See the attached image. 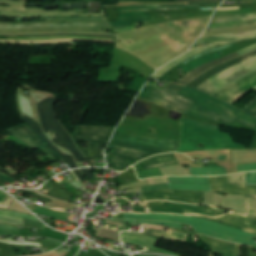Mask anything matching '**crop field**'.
<instances>
[{"instance_id":"f4fd0767","label":"crop field","mask_w":256,"mask_h":256,"mask_svg":"<svg viewBox=\"0 0 256 256\" xmlns=\"http://www.w3.org/2000/svg\"><path fill=\"white\" fill-rule=\"evenodd\" d=\"M114 128L79 126V134H75L74 141H89L91 147L84 149L78 144V148L89 160L92 167H96L95 159L102 158V148L108 144Z\"/></svg>"},{"instance_id":"5a996713","label":"crop field","mask_w":256,"mask_h":256,"mask_svg":"<svg viewBox=\"0 0 256 256\" xmlns=\"http://www.w3.org/2000/svg\"><path fill=\"white\" fill-rule=\"evenodd\" d=\"M148 205L151 212L157 213H177L186 215L201 214L209 217L222 215L221 210L203 206L175 204L164 201L148 202Z\"/></svg>"},{"instance_id":"e52e79f7","label":"crop field","mask_w":256,"mask_h":256,"mask_svg":"<svg viewBox=\"0 0 256 256\" xmlns=\"http://www.w3.org/2000/svg\"><path fill=\"white\" fill-rule=\"evenodd\" d=\"M246 67L256 71V57L248 59V60H246V61H244V62H242L240 64H237V65L227 69L226 71H224V72H222V73H220V74L210 78V80L213 83H215L220 89L215 84H213L209 79L206 80L204 83H202L199 87H197V89H199V90H201L203 92H207V93L212 95L216 90L219 89L218 91H220L223 88L233 84L234 82H236V81L242 79L243 77H245V76H247V75H249V74L254 72L253 71V72H251V73H249V74L239 78L240 76H242V75L252 71V70H250V69H248ZM244 68H246V69H244ZM242 69H244V70H242ZM240 70H242V71H240ZM238 71H240V72H238ZM236 72H238V73H236ZM234 73H236V74H234ZM232 74H234V75H232ZM230 75H232V76H230ZM228 76H230V77H228ZM226 77H228V78H226ZM224 78H226V79H224ZM237 78H239V79H237ZM222 79H224V80H222ZM235 79H237V80H235ZM233 80H235V81H233ZM220 81L222 83H224L225 85L227 83L231 82V81H233V82H231V83H229V84H227L225 86Z\"/></svg>"},{"instance_id":"9d1cf04e","label":"crop field","mask_w":256,"mask_h":256,"mask_svg":"<svg viewBox=\"0 0 256 256\" xmlns=\"http://www.w3.org/2000/svg\"><path fill=\"white\" fill-rule=\"evenodd\" d=\"M223 9H240V8L236 7V8H223ZM218 10H222V9H218Z\"/></svg>"},{"instance_id":"28ad6ade","label":"crop field","mask_w":256,"mask_h":256,"mask_svg":"<svg viewBox=\"0 0 256 256\" xmlns=\"http://www.w3.org/2000/svg\"><path fill=\"white\" fill-rule=\"evenodd\" d=\"M252 24H256V13L238 16H214L211 25L206 31L241 27Z\"/></svg>"},{"instance_id":"028f5c9d","label":"crop field","mask_w":256,"mask_h":256,"mask_svg":"<svg viewBox=\"0 0 256 256\" xmlns=\"http://www.w3.org/2000/svg\"><path fill=\"white\" fill-rule=\"evenodd\" d=\"M13 198L8 196L6 193L0 191V207L8 209Z\"/></svg>"},{"instance_id":"4a817a6b","label":"crop field","mask_w":256,"mask_h":256,"mask_svg":"<svg viewBox=\"0 0 256 256\" xmlns=\"http://www.w3.org/2000/svg\"><path fill=\"white\" fill-rule=\"evenodd\" d=\"M24 121L33 129V131L40 136L58 155H60L70 169L77 168V165L72 156L63 155L59 149L45 136L39 123L35 122L29 117L22 116Z\"/></svg>"},{"instance_id":"cbeb9de0","label":"crop field","mask_w":256,"mask_h":256,"mask_svg":"<svg viewBox=\"0 0 256 256\" xmlns=\"http://www.w3.org/2000/svg\"><path fill=\"white\" fill-rule=\"evenodd\" d=\"M9 134L17 138L18 140L26 143L32 148L38 149L41 145L43 146V150L46 154L55 156L59 158L56 154H54L45 144H43L32 132L31 130L26 126H20L13 129H10L8 131ZM60 159V158H59Z\"/></svg>"},{"instance_id":"c21b1889","label":"crop field","mask_w":256,"mask_h":256,"mask_svg":"<svg viewBox=\"0 0 256 256\" xmlns=\"http://www.w3.org/2000/svg\"><path fill=\"white\" fill-rule=\"evenodd\" d=\"M124 222H133V221L125 220ZM138 223H153V224H161V225H165V226H171V227H178V228H181V225H179V224H173V223L146 222V221H142V222H138Z\"/></svg>"},{"instance_id":"412701ff","label":"crop field","mask_w":256,"mask_h":256,"mask_svg":"<svg viewBox=\"0 0 256 256\" xmlns=\"http://www.w3.org/2000/svg\"><path fill=\"white\" fill-rule=\"evenodd\" d=\"M54 99L55 98H48L42 101L41 103L37 104L38 112H39V115L42 121V126L44 128L45 133L55 129L56 138L52 141L55 142L57 145L65 149H68L74 155L77 162L85 160L84 156L76 148L69 134L60 125L53 109Z\"/></svg>"},{"instance_id":"730fd06b","label":"crop field","mask_w":256,"mask_h":256,"mask_svg":"<svg viewBox=\"0 0 256 256\" xmlns=\"http://www.w3.org/2000/svg\"><path fill=\"white\" fill-rule=\"evenodd\" d=\"M145 229H153V230H161L164 231V227H160V226H151V225H147ZM153 230H145L144 234L146 235H151V236H163L166 237L168 239H173V240H181V241H185L187 236L186 235H182V234H178V233H173L170 232L169 233H165V232H161V231H153Z\"/></svg>"},{"instance_id":"bc2a9ffb","label":"crop field","mask_w":256,"mask_h":256,"mask_svg":"<svg viewBox=\"0 0 256 256\" xmlns=\"http://www.w3.org/2000/svg\"><path fill=\"white\" fill-rule=\"evenodd\" d=\"M179 164L178 160L175 158L174 154L171 155H161L146 161H143L134 167L136 171L157 168V167H164L170 165Z\"/></svg>"},{"instance_id":"db79e9e6","label":"crop field","mask_w":256,"mask_h":256,"mask_svg":"<svg viewBox=\"0 0 256 256\" xmlns=\"http://www.w3.org/2000/svg\"><path fill=\"white\" fill-rule=\"evenodd\" d=\"M255 248H256V244H255V246H254Z\"/></svg>"},{"instance_id":"73cf0c24","label":"crop field","mask_w":256,"mask_h":256,"mask_svg":"<svg viewBox=\"0 0 256 256\" xmlns=\"http://www.w3.org/2000/svg\"><path fill=\"white\" fill-rule=\"evenodd\" d=\"M26 192H28V193H30V194H32V195L38 197V198H41V199H43V200H45V201H47V202H49V203H50V201H51V199H48V198L39 196V195H37V194H35V193L31 192V191H26Z\"/></svg>"},{"instance_id":"8a807250","label":"crop field","mask_w":256,"mask_h":256,"mask_svg":"<svg viewBox=\"0 0 256 256\" xmlns=\"http://www.w3.org/2000/svg\"><path fill=\"white\" fill-rule=\"evenodd\" d=\"M139 96L182 114L228 125L237 120L252 128L256 126V116L180 84L170 83L164 92L145 86Z\"/></svg>"},{"instance_id":"dbb93151","label":"crop field","mask_w":256,"mask_h":256,"mask_svg":"<svg viewBox=\"0 0 256 256\" xmlns=\"http://www.w3.org/2000/svg\"><path fill=\"white\" fill-rule=\"evenodd\" d=\"M60 43H72V42H60ZM9 44H21V43H9ZM44 44H58V43H44ZM23 45H35V44H23Z\"/></svg>"},{"instance_id":"1d83c4d3","label":"crop field","mask_w":256,"mask_h":256,"mask_svg":"<svg viewBox=\"0 0 256 256\" xmlns=\"http://www.w3.org/2000/svg\"><path fill=\"white\" fill-rule=\"evenodd\" d=\"M138 21L149 22V21H153V18H152V16L134 18V19H129V20H124V21H120V22L111 23V26L113 27V29H116V28H120V27H124V26H127V25L134 24Z\"/></svg>"},{"instance_id":"c035e120","label":"crop field","mask_w":256,"mask_h":256,"mask_svg":"<svg viewBox=\"0 0 256 256\" xmlns=\"http://www.w3.org/2000/svg\"><path fill=\"white\" fill-rule=\"evenodd\" d=\"M23 223H24V226L35 227V228H43L45 226L42 223L33 222V221H25V220H23Z\"/></svg>"},{"instance_id":"425ffa30","label":"crop field","mask_w":256,"mask_h":256,"mask_svg":"<svg viewBox=\"0 0 256 256\" xmlns=\"http://www.w3.org/2000/svg\"><path fill=\"white\" fill-rule=\"evenodd\" d=\"M0 178L3 179V180H5V181H8V182H10V183L15 180V179H13V178H11V177L5 175V174H3V175L1 174V175H0Z\"/></svg>"},{"instance_id":"1d79db26","label":"crop field","mask_w":256,"mask_h":256,"mask_svg":"<svg viewBox=\"0 0 256 256\" xmlns=\"http://www.w3.org/2000/svg\"><path fill=\"white\" fill-rule=\"evenodd\" d=\"M103 251H104V250H103ZM104 252H106L107 254L113 255V256H119V255H116V254L110 253V252H108V251H104Z\"/></svg>"},{"instance_id":"d1516ede","label":"crop field","mask_w":256,"mask_h":256,"mask_svg":"<svg viewBox=\"0 0 256 256\" xmlns=\"http://www.w3.org/2000/svg\"><path fill=\"white\" fill-rule=\"evenodd\" d=\"M254 77H256V72H254L253 74L245 77L244 79L234 83L233 85L225 88L224 90L214 94L213 96L220 99L221 97H223L225 94H227L228 92H230L234 88L240 86L241 84L247 82L248 80H250ZM255 86H256V78H254V79L248 81L247 83L241 85L240 87L234 89L233 91L228 93L226 96H224L221 100L231 104Z\"/></svg>"},{"instance_id":"750c4746","label":"crop field","mask_w":256,"mask_h":256,"mask_svg":"<svg viewBox=\"0 0 256 256\" xmlns=\"http://www.w3.org/2000/svg\"><path fill=\"white\" fill-rule=\"evenodd\" d=\"M168 181L169 183L209 184L207 178H197V177H186V178L168 177Z\"/></svg>"},{"instance_id":"bd1437ed","label":"crop field","mask_w":256,"mask_h":256,"mask_svg":"<svg viewBox=\"0 0 256 256\" xmlns=\"http://www.w3.org/2000/svg\"><path fill=\"white\" fill-rule=\"evenodd\" d=\"M169 189H183V190H196V191H210L209 185H182V184H169Z\"/></svg>"},{"instance_id":"25e5ab78","label":"crop field","mask_w":256,"mask_h":256,"mask_svg":"<svg viewBox=\"0 0 256 256\" xmlns=\"http://www.w3.org/2000/svg\"><path fill=\"white\" fill-rule=\"evenodd\" d=\"M189 4H214V5H220V3L215 2H188Z\"/></svg>"},{"instance_id":"00972430","label":"crop field","mask_w":256,"mask_h":256,"mask_svg":"<svg viewBox=\"0 0 256 256\" xmlns=\"http://www.w3.org/2000/svg\"><path fill=\"white\" fill-rule=\"evenodd\" d=\"M22 219L38 221L35 217L17 212L0 211V222L23 226Z\"/></svg>"},{"instance_id":"d32e631a","label":"crop field","mask_w":256,"mask_h":256,"mask_svg":"<svg viewBox=\"0 0 256 256\" xmlns=\"http://www.w3.org/2000/svg\"><path fill=\"white\" fill-rule=\"evenodd\" d=\"M137 175H138L139 179H145V178H149V177H160V176H162V173H161L160 169L158 168V169L140 171V172H137Z\"/></svg>"},{"instance_id":"3316defc","label":"crop field","mask_w":256,"mask_h":256,"mask_svg":"<svg viewBox=\"0 0 256 256\" xmlns=\"http://www.w3.org/2000/svg\"><path fill=\"white\" fill-rule=\"evenodd\" d=\"M143 201L166 200L175 202H185L191 204L199 203L203 198L204 192L183 191V190H165L156 192L141 193Z\"/></svg>"},{"instance_id":"0fb4a251","label":"crop field","mask_w":256,"mask_h":256,"mask_svg":"<svg viewBox=\"0 0 256 256\" xmlns=\"http://www.w3.org/2000/svg\"><path fill=\"white\" fill-rule=\"evenodd\" d=\"M178 2H183V1H203V0H177ZM207 1H219V0H207Z\"/></svg>"},{"instance_id":"d9b57169","label":"crop field","mask_w":256,"mask_h":256,"mask_svg":"<svg viewBox=\"0 0 256 256\" xmlns=\"http://www.w3.org/2000/svg\"><path fill=\"white\" fill-rule=\"evenodd\" d=\"M255 49H256V44L253 45V46H250V47H248V48H246L244 50H241L239 52L242 55H244V54H246L248 52H251V51H253ZM239 52H235V53H233V54H231V55H229L227 57H224V58L218 59L216 61L209 62V63H207L205 65H202V66L198 67L197 69H195V70L191 71L190 73H188L184 78L178 80L177 83H181V84L186 85L187 83H189L191 80H193L195 77H197L199 74L205 72L206 70H208V69H210V68H212V67H214V66H216V65H218L220 63H223V62H225L227 60H230L232 58H235V57L241 55Z\"/></svg>"},{"instance_id":"ac0d7876","label":"crop field","mask_w":256,"mask_h":256,"mask_svg":"<svg viewBox=\"0 0 256 256\" xmlns=\"http://www.w3.org/2000/svg\"><path fill=\"white\" fill-rule=\"evenodd\" d=\"M179 143L175 141L143 139L115 132L108 148L114 150L109 164L113 165L112 169L124 171L134 160L140 161L152 155L173 152Z\"/></svg>"},{"instance_id":"eef30255","label":"crop field","mask_w":256,"mask_h":256,"mask_svg":"<svg viewBox=\"0 0 256 256\" xmlns=\"http://www.w3.org/2000/svg\"><path fill=\"white\" fill-rule=\"evenodd\" d=\"M192 175L196 176H215L226 174L221 167L216 168H189Z\"/></svg>"},{"instance_id":"d8731c3e","label":"crop field","mask_w":256,"mask_h":256,"mask_svg":"<svg viewBox=\"0 0 256 256\" xmlns=\"http://www.w3.org/2000/svg\"><path fill=\"white\" fill-rule=\"evenodd\" d=\"M212 191L250 195L256 193V186L245 185V173L209 178Z\"/></svg>"},{"instance_id":"e1f06a70","label":"crop field","mask_w":256,"mask_h":256,"mask_svg":"<svg viewBox=\"0 0 256 256\" xmlns=\"http://www.w3.org/2000/svg\"><path fill=\"white\" fill-rule=\"evenodd\" d=\"M143 192L168 189V184L141 187Z\"/></svg>"},{"instance_id":"dd49c442","label":"crop field","mask_w":256,"mask_h":256,"mask_svg":"<svg viewBox=\"0 0 256 256\" xmlns=\"http://www.w3.org/2000/svg\"><path fill=\"white\" fill-rule=\"evenodd\" d=\"M193 227L197 232L201 234H205L218 239L248 244L251 246H253L255 243L253 240V236L255 235L209 220L197 218Z\"/></svg>"},{"instance_id":"733c2abd","label":"crop field","mask_w":256,"mask_h":256,"mask_svg":"<svg viewBox=\"0 0 256 256\" xmlns=\"http://www.w3.org/2000/svg\"><path fill=\"white\" fill-rule=\"evenodd\" d=\"M126 219H147V220H162L171 221L185 224H193L196 218L178 216V215H168V214H128L126 213Z\"/></svg>"},{"instance_id":"447ae74e","label":"crop field","mask_w":256,"mask_h":256,"mask_svg":"<svg viewBox=\"0 0 256 256\" xmlns=\"http://www.w3.org/2000/svg\"><path fill=\"white\" fill-rule=\"evenodd\" d=\"M104 20H107V19H104ZM46 21H61V20H46Z\"/></svg>"},{"instance_id":"0bd39190","label":"crop field","mask_w":256,"mask_h":256,"mask_svg":"<svg viewBox=\"0 0 256 256\" xmlns=\"http://www.w3.org/2000/svg\"><path fill=\"white\" fill-rule=\"evenodd\" d=\"M256 170V163L237 165V172Z\"/></svg>"},{"instance_id":"b80d0937","label":"crop field","mask_w":256,"mask_h":256,"mask_svg":"<svg viewBox=\"0 0 256 256\" xmlns=\"http://www.w3.org/2000/svg\"><path fill=\"white\" fill-rule=\"evenodd\" d=\"M246 184L256 185V172L246 173Z\"/></svg>"},{"instance_id":"ae1a2a85","label":"crop field","mask_w":256,"mask_h":256,"mask_svg":"<svg viewBox=\"0 0 256 256\" xmlns=\"http://www.w3.org/2000/svg\"><path fill=\"white\" fill-rule=\"evenodd\" d=\"M222 51V50H221ZM221 51L217 52V53H214V54H211V55H208V56H205V57H202L184 67H182L187 73L191 70H193L194 68L206 63V62H209L211 60H214V59H217V58H220V56L218 54L221 53Z\"/></svg>"},{"instance_id":"89e229c0","label":"crop field","mask_w":256,"mask_h":256,"mask_svg":"<svg viewBox=\"0 0 256 256\" xmlns=\"http://www.w3.org/2000/svg\"><path fill=\"white\" fill-rule=\"evenodd\" d=\"M77 177L81 180V182L85 181V178L82 176L79 170L74 171Z\"/></svg>"},{"instance_id":"b54c1fbb","label":"crop field","mask_w":256,"mask_h":256,"mask_svg":"<svg viewBox=\"0 0 256 256\" xmlns=\"http://www.w3.org/2000/svg\"><path fill=\"white\" fill-rule=\"evenodd\" d=\"M52 39H83V40H97V39H84V38H50V39H35V40H29V41L52 40ZM0 40H5V39H0Z\"/></svg>"},{"instance_id":"5866460e","label":"crop field","mask_w":256,"mask_h":256,"mask_svg":"<svg viewBox=\"0 0 256 256\" xmlns=\"http://www.w3.org/2000/svg\"><path fill=\"white\" fill-rule=\"evenodd\" d=\"M63 27H110L109 23H69Z\"/></svg>"},{"instance_id":"d3111659","label":"crop field","mask_w":256,"mask_h":256,"mask_svg":"<svg viewBox=\"0 0 256 256\" xmlns=\"http://www.w3.org/2000/svg\"><path fill=\"white\" fill-rule=\"evenodd\" d=\"M62 24H36V25H0L4 29H29V28H57Z\"/></svg>"},{"instance_id":"03da06ac","label":"crop field","mask_w":256,"mask_h":256,"mask_svg":"<svg viewBox=\"0 0 256 256\" xmlns=\"http://www.w3.org/2000/svg\"><path fill=\"white\" fill-rule=\"evenodd\" d=\"M254 89H256V87H255ZM245 111L256 115V100H255L254 102H252V103L245 109Z\"/></svg>"},{"instance_id":"5142ce71","label":"crop field","mask_w":256,"mask_h":256,"mask_svg":"<svg viewBox=\"0 0 256 256\" xmlns=\"http://www.w3.org/2000/svg\"><path fill=\"white\" fill-rule=\"evenodd\" d=\"M121 238H122V242L124 243L137 245L145 248H150L152 250L159 251L168 255L181 256L180 254L172 253V252L155 247L158 239L154 237L122 232Z\"/></svg>"},{"instance_id":"34b2d1b8","label":"crop field","mask_w":256,"mask_h":256,"mask_svg":"<svg viewBox=\"0 0 256 256\" xmlns=\"http://www.w3.org/2000/svg\"><path fill=\"white\" fill-rule=\"evenodd\" d=\"M182 143L176 152L200 150L197 145L206 146L203 149L245 148L235 144L230 136L219 133V127L206 125L182 118Z\"/></svg>"},{"instance_id":"0765c3eb","label":"crop field","mask_w":256,"mask_h":256,"mask_svg":"<svg viewBox=\"0 0 256 256\" xmlns=\"http://www.w3.org/2000/svg\"><path fill=\"white\" fill-rule=\"evenodd\" d=\"M5 1H17V0H5ZM19 1H22V0H19Z\"/></svg>"},{"instance_id":"120bbe31","label":"crop field","mask_w":256,"mask_h":256,"mask_svg":"<svg viewBox=\"0 0 256 256\" xmlns=\"http://www.w3.org/2000/svg\"><path fill=\"white\" fill-rule=\"evenodd\" d=\"M19 228V226L0 224V234L17 236Z\"/></svg>"},{"instance_id":"a9b5d70f","label":"crop field","mask_w":256,"mask_h":256,"mask_svg":"<svg viewBox=\"0 0 256 256\" xmlns=\"http://www.w3.org/2000/svg\"><path fill=\"white\" fill-rule=\"evenodd\" d=\"M213 246L218 254L223 256H239L241 255L239 245H234L230 243H226L223 241L215 240L213 242Z\"/></svg>"},{"instance_id":"5d738f31","label":"crop field","mask_w":256,"mask_h":256,"mask_svg":"<svg viewBox=\"0 0 256 256\" xmlns=\"http://www.w3.org/2000/svg\"><path fill=\"white\" fill-rule=\"evenodd\" d=\"M82 171L84 172L88 180L94 177L91 169H82Z\"/></svg>"},{"instance_id":"dafd665d","label":"crop field","mask_w":256,"mask_h":256,"mask_svg":"<svg viewBox=\"0 0 256 256\" xmlns=\"http://www.w3.org/2000/svg\"><path fill=\"white\" fill-rule=\"evenodd\" d=\"M234 42H237V41H234ZM230 43H233V42H229V43H224V44H219V46L221 45H226V44H230ZM215 46L212 45V46H208L206 48H200V49H193L185 54H183L181 57H179L178 59L170 62L169 64H167L164 68L160 69L157 71V73L152 77L153 79H159L161 78L168 70H170L172 67L176 66L177 64H179L180 62H182L183 60L199 53V52H202V51H205L207 49H210V48H214Z\"/></svg>"},{"instance_id":"22f410ed","label":"crop field","mask_w":256,"mask_h":256,"mask_svg":"<svg viewBox=\"0 0 256 256\" xmlns=\"http://www.w3.org/2000/svg\"><path fill=\"white\" fill-rule=\"evenodd\" d=\"M195 217L209 219L212 221H216L234 228H238V229L256 234V219L242 216L239 214L232 213L230 215H226L217 219H211V218L202 217V216H195Z\"/></svg>"},{"instance_id":"4177f3b9","label":"crop field","mask_w":256,"mask_h":256,"mask_svg":"<svg viewBox=\"0 0 256 256\" xmlns=\"http://www.w3.org/2000/svg\"><path fill=\"white\" fill-rule=\"evenodd\" d=\"M209 6H186V5H132L119 7L118 12L133 11V10H151V9H174V8H196Z\"/></svg>"},{"instance_id":"92a150f3","label":"crop field","mask_w":256,"mask_h":256,"mask_svg":"<svg viewBox=\"0 0 256 256\" xmlns=\"http://www.w3.org/2000/svg\"><path fill=\"white\" fill-rule=\"evenodd\" d=\"M251 37H256V31L200 38L194 45L205 44V43L213 44V43L227 42V41H233V40L251 38Z\"/></svg>"},{"instance_id":"1f2cbd36","label":"crop field","mask_w":256,"mask_h":256,"mask_svg":"<svg viewBox=\"0 0 256 256\" xmlns=\"http://www.w3.org/2000/svg\"><path fill=\"white\" fill-rule=\"evenodd\" d=\"M50 36H56V35H50ZM76 36H96V35H76ZM4 37H26V36H4ZM104 37H112V36H104Z\"/></svg>"},{"instance_id":"214f88e0","label":"crop field","mask_w":256,"mask_h":256,"mask_svg":"<svg viewBox=\"0 0 256 256\" xmlns=\"http://www.w3.org/2000/svg\"><path fill=\"white\" fill-rule=\"evenodd\" d=\"M253 56H256V51L252 52V53H249L243 57H240L238 59H235L231 62H228L226 64H222L214 69H211L209 71H207L206 73H204L202 76H200L199 78L195 79L194 81H192L190 84H188L187 86H190V87H197L198 85H200L202 82H204L207 78H210L218 73H220L221 71L239 63V62H242L248 58H251Z\"/></svg>"},{"instance_id":"d23c7cc5","label":"crop field","mask_w":256,"mask_h":256,"mask_svg":"<svg viewBox=\"0 0 256 256\" xmlns=\"http://www.w3.org/2000/svg\"><path fill=\"white\" fill-rule=\"evenodd\" d=\"M57 37H73V36H57ZM37 38H50V37H37ZM85 38H97V37H85ZM6 39H35V38H6ZM98 39H107V38H98Z\"/></svg>"}]
</instances>
